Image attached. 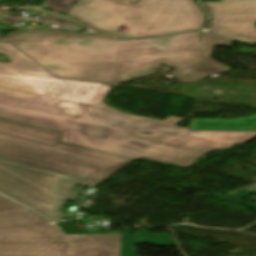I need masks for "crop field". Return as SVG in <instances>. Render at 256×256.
Listing matches in <instances>:
<instances>
[{"instance_id": "obj_12", "label": "crop field", "mask_w": 256, "mask_h": 256, "mask_svg": "<svg viewBox=\"0 0 256 256\" xmlns=\"http://www.w3.org/2000/svg\"><path fill=\"white\" fill-rule=\"evenodd\" d=\"M126 1L137 3L138 0H126Z\"/></svg>"}, {"instance_id": "obj_9", "label": "crop field", "mask_w": 256, "mask_h": 256, "mask_svg": "<svg viewBox=\"0 0 256 256\" xmlns=\"http://www.w3.org/2000/svg\"><path fill=\"white\" fill-rule=\"evenodd\" d=\"M130 229L125 228L121 239V256H136L135 249L130 245L149 242L158 246L174 245L172 238L166 233L162 234H145L144 230H140L138 236L130 237Z\"/></svg>"}, {"instance_id": "obj_5", "label": "crop field", "mask_w": 256, "mask_h": 256, "mask_svg": "<svg viewBox=\"0 0 256 256\" xmlns=\"http://www.w3.org/2000/svg\"><path fill=\"white\" fill-rule=\"evenodd\" d=\"M0 256H120V233L65 235L0 195Z\"/></svg>"}, {"instance_id": "obj_1", "label": "crop field", "mask_w": 256, "mask_h": 256, "mask_svg": "<svg viewBox=\"0 0 256 256\" xmlns=\"http://www.w3.org/2000/svg\"><path fill=\"white\" fill-rule=\"evenodd\" d=\"M0 118L61 131L63 142L135 159L187 167L203 154L229 149L256 132L189 131L182 119L123 114L103 103L111 87L56 79L11 44L0 43ZM141 131L151 132V136Z\"/></svg>"}, {"instance_id": "obj_8", "label": "crop field", "mask_w": 256, "mask_h": 256, "mask_svg": "<svg viewBox=\"0 0 256 256\" xmlns=\"http://www.w3.org/2000/svg\"><path fill=\"white\" fill-rule=\"evenodd\" d=\"M190 130L256 131V115L235 120L193 119Z\"/></svg>"}, {"instance_id": "obj_10", "label": "crop field", "mask_w": 256, "mask_h": 256, "mask_svg": "<svg viewBox=\"0 0 256 256\" xmlns=\"http://www.w3.org/2000/svg\"><path fill=\"white\" fill-rule=\"evenodd\" d=\"M77 0H45L42 7L55 13L65 15Z\"/></svg>"}, {"instance_id": "obj_2", "label": "crop field", "mask_w": 256, "mask_h": 256, "mask_svg": "<svg viewBox=\"0 0 256 256\" xmlns=\"http://www.w3.org/2000/svg\"><path fill=\"white\" fill-rule=\"evenodd\" d=\"M0 42L13 44L56 78L94 82L147 77L155 74L161 63L176 69L169 75L180 81L217 75L229 69L209 58L213 47L232 44L201 32L119 41L44 26L20 29Z\"/></svg>"}, {"instance_id": "obj_4", "label": "crop field", "mask_w": 256, "mask_h": 256, "mask_svg": "<svg viewBox=\"0 0 256 256\" xmlns=\"http://www.w3.org/2000/svg\"><path fill=\"white\" fill-rule=\"evenodd\" d=\"M66 15L116 38L201 30L205 20L193 0H78Z\"/></svg>"}, {"instance_id": "obj_3", "label": "crop field", "mask_w": 256, "mask_h": 256, "mask_svg": "<svg viewBox=\"0 0 256 256\" xmlns=\"http://www.w3.org/2000/svg\"><path fill=\"white\" fill-rule=\"evenodd\" d=\"M0 159L82 179L93 187L133 159L61 144L59 132L0 119Z\"/></svg>"}, {"instance_id": "obj_11", "label": "crop field", "mask_w": 256, "mask_h": 256, "mask_svg": "<svg viewBox=\"0 0 256 256\" xmlns=\"http://www.w3.org/2000/svg\"><path fill=\"white\" fill-rule=\"evenodd\" d=\"M13 28H15V27L8 25L6 23L0 22V36L5 34L8 31H10Z\"/></svg>"}, {"instance_id": "obj_7", "label": "crop field", "mask_w": 256, "mask_h": 256, "mask_svg": "<svg viewBox=\"0 0 256 256\" xmlns=\"http://www.w3.org/2000/svg\"><path fill=\"white\" fill-rule=\"evenodd\" d=\"M212 15L209 31L231 39L256 43V0L203 2Z\"/></svg>"}, {"instance_id": "obj_6", "label": "crop field", "mask_w": 256, "mask_h": 256, "mask_svg": "<svg viewBox=\"0 0 256 256\" xmlns=\"http://www.w3.org/2000/svg\"><path fill=\"white\" fill-rule=\"evenodd\" d=\"M80 179L0 160V192L53 219L62 220L66 200L74 201Z\"/></svg>"}]
</instances>
